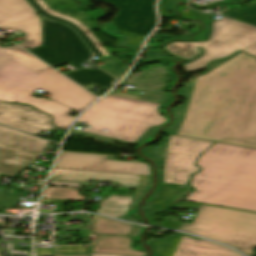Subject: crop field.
Instances as JSON below:
<instances>
[{"label": "crop field", "instance_id": "38", "mask_svg": "<svg viewBox=\"0 0 256 256\" xmlns=\"http://www.w3.org/2000/svg\"><path fill=\"white\" fill-rule=\"evenodd\" d=\"M4 195H5V194L0 193V204H1V202H2V199H3Z\"/></svg>", "mask_w": 256, "mask_h": 256}, {"label": "crop field", "instance_id": "36", "mask_svg": "<svg viewBox=\"0 0 256 256\" xmlns=\"http://www.w3.org/2000/svg\"><path fill=\"white\" fill-rule=\"evenodd\" d=\"M49 185L63 186V187H73V188H79V186H80V184H75V183H63V182H50Z\"/></svg>", "mask_w": 256, "mask_h": 256}, {"label": "crop field", "instance_id": "24", "mask_svg": "<svg viewBox=\"0 0 256 256\" xmlns=\"http://www.w3.org/2000/svg\"><path fill=\"white\" fill-rule=\"evenodd\" d=\"M65 74L84 88L89 84L94 83L107 90L111 86H113L111 83L115 80L114 77L110 76L109 74L103 72L100 69L81 70Z\"/></svg>", "mask_w": 256, "mask_h": 256}, {"label": "crop field", "instance_id": "2", "mask_svg": "<svg viewBox=\"0 0 256 256\" xmlns=\"http://www.w3.org/2000/svg\"><path fill=\"white\" fill-rule=\"evenodd\" d=\"M196 166L187 201L256 212V150L215 143Z\"/></svg>", "mask_w": 256, "mask_h": 256}, {"label": "crop field", "instance_id": "19", "mask_svg": "<svg viewBox=\"0 0 256 256\" xmlns=\"http://www.w3.org/2000/svg\"><path fill=\"white\" fill-rule=\"evenodd\" d=\"M131 240L132 237L99 235V243L94 245V253L123 256H144V252L136 251L131 248Z\"/></svg>", "mask_w": 256, "mask_h": 256}, {"label": "crop field", "instance_id": "6", "mask_svg": "<svg viewBox=\"0 0 256 256\" xmlns=\"http://www.w3.org/2000/svg\"><path fill=\"white\" fill-rule=\"evenodd\" d=\"M256 42V28L221 17L212 23L208 41L177 42L165 47L169 53L187 59L186 72L205 68L206 64L232 55Z\"/></svg>", "mask_w": 256, "mask_h": 256}, {"label": "crop field", "instance_id": "1", "mask_svg": "<svg viewBox=\"0 0 256 256\" xmlns=\"http://www.w3.org/2000/svg\"><path fill=\"white\" fill-rule=\"evenodd\" d=\"M177 135L256 149V58L242 52L199 77Z\"/></svg>", "mask_w": 256, "mask_h": 256}, {"label": "crop field", "instance_id": "23", "mask_svg": "<svg viewBox=\"0 0 256 256\" xmlns=\"http://www.w3.org/2000/svg\"><path fill=\"white\" fill-rule=\"evenodd\" d=\"M236 55H234V56H236ZM234 56H232L230 58H227L225 60H222V61L215 62V63L211 64V68L207 72L214 69L218 65L224 63L225 61L233 58ZM206 73H204V74H206ZM204 74H202V75H204ZM202 75H198V76H194V77L190 78L188 80L187 84L184 85L182 88H180L178 90L179 95L185 97L186 100L184 101L183 104H181L179 107H177L176 109L173 110V112L176 116V123L173 124L172 126H170L169 128H167L164 131L165 133L176 135L177 131L179 130V128L182 124V121H183V118H184V115H185V111H186V108H187V105H188V102H189V99H190V96H191V93H192V90H193L194 83H195L197 77L202 76Z\"/></svg>", "mask_w": 256, "mask_h": 256}, {"label": "crop field", "instance_id": "35", "mask_svg": "<svg viewBox=\"0 0 256 256\" xmlns=\"http://www.w3.org/2000/svg\"><path fill=\"white\" fill-rule=\"evenodd\" d=\"M172 1H174V0H161V2H160V12H161V16L163 18H165V17H173V15L171 13H167V12L164 11V6L167 3H170Z\"/></svg>", "mask_w": 256, "mask_h": 256}, {"label": "crop field", "instance_id": "16", "mask_svg": "<svg viewBox=\"0 0 256 256\" xmlns=\"http://www.w3.org/2000/svg\"><path fill=\"white\" fill-rule=\"evenodd\" d=\"M40 155L0 143V172L17 176Z\"/></svg>", "mask_w": 256, "mask_h": 256}, {"label": "crop field", "instance_id": "3", "mask_svg": "<svg viewBox=\"0 0 256 256\" xmlns=\"http://www.w3.org/2000/svg\"><path fill=\"white\" fill-rule=\"evenodd\" d=\"M56 72L48 67L36 75L13 60L0 70V100L28 103L53 115L54 124L66 130L74 119L66 115L70 109L46 98L32 97L33 91L40 88L52 95L49 99L79 112L96 97Z\"/></svg>", "mask_w": 256, "mask_h": 256}, {"label": "crop field", "instance_id": "7", "mask_svg": "<svg viewBox=\"0 0 256 256\" xmlns=\"http://www.w3.org/2000/svg\"><path fill=\"white\" fill-rule=\"evenodd\" d=\"M31 5L45 17L63 22L74 30L85 41L88 47L98 56L97 62H102L105 66L100 67L111 75L121 78L127 69L120 59L113 58L112 53L126 50V48L113 49L105 46L97 47L98 40L91 33L92 29H98L92 19L103 15L102 9L94 12H82L71 0H28ZM93 56V57H94Z\"/></svg>", "mask_w": 256, "mask_h": 256}, {"label": "crop field", "instance_id": "31", "mask_svg": "<svg viewBox=\"0 0 256 256\" xmlns=\"http://www.w3.org/2000/svg\"><path fill=\"white\" fill-rule=\"evenodd\" d=\"M119 31L122 35L128 37V43L134 48L133 53L137 54L144 37L121 30Z\"/></svg>", "mask_w": 256, "mask_h": 256}, {"label": "crop field", "instance_id": "14", "mask_svg": "<svg viewBox=\"0 0 256 256\" xmlns=\"http://www.w3.org/2000/svg\"><path fill=\"white\" fill-rule=\"evenodd\" d=\"M163 65L144 69L139 76L130 75L124 84L136 86L144 95L126 92L123 96L159 103L163 98V87L169 76L163 71Z\"/></svg>", "mask_w": 256, "mask_h": 256}, {"label": "crop field", "instance_id": "33", "mask_svg": "<svg viewBox=\"0 0 256 256\" xmlns=\"http://www.w3.org/2000/svg\"><path fill=\"white\" fill-rule=\"evenodd\" d=\"M19 201V196L6 194L1 207H16Z\"/></svg>", "mask_w": 256, "mask_h": 256}, {"label": "crop field", "instance_id": "20", "mask_svg": "<svg viewBox=\"0 0 256 256\" xmlns=\"http://www.w3.org/2000/svg\"><path fill=\"white\" fill-rule=\"evenodd\" d=\"M13 59L37 74L44 70L46 67H48L32 55L28 54L27 52L15 45L6 49L0 46V69H2Z\"/></svg>", "mask_w": 256, "mask_h": 256}, {"label": "crop field", "instance_id": "18", "mask_svg": "<svg viewBox=\"0 0 256 256\" xmlns=\"http://www.w3.org/2000/svg\"><path fill=\"white\" fill-rule=\"evenodd\" d=\"M0 142L42 155L49 141L0 126Z\"/></svg>", "mask_w": 256, "mask_h": 256}, {"label": "crop field", "instance_id": "17", "mask_svg": "<svg viewBox=\"0 0 256 256\" xmlns=\"http://www.w3.org/2000/svg\"><path fill=\"white\" fill-rule=\"evenodd\" d=\"M0 27H4L7 30H22L26 35L23 39L24 42L19 45L23 48L31 49L42 44L40 17L35 13L1 23Z\"/></svg>", "mask_w": 256, "mask_h": 256}, {"label": "crop field", "instance_id": "34", "mask_svg": "<svg viewBox=\"0 0 256 256\" xmlns=\"http://www.w3.org/2000/svg\"><path fill=\"white\" fill-rule=\"evenodd\" d=\"M37 256H91V255H52V249H35Z\"/></svg>", "mask_w": 256, "mask_h": 256}, {"label": "crop field", "instance_id": "39", "mask_svg": "<svg viewBox=\"0 0 256 256\" xmlns=\"http://www.w3.org/2000/svg\"><path fill=\"white\" fill-rule=\"evenodd\" d=\"M92 256H108V255H98V254H92Z\"/></svg>", "mask_w": 256, "mask_h": 256}, {"label": "crop field", "instance_id": "32", "mask_svg": "<svg viewBox=\"0 0 256 256\" xmlns=\"http://www.w3.org/2000/svg\"><path fill=\"white\" fill-rule=\"evenodd\" d=\"M164 71L171 77L170 80H169V81H171L170 84H166L165 86H166L167 88H168L169 86L172 87L173 84L176 82V76H175L172 72L168 71V70L166 69V67H165ZM167 82H168V81H167ZM171 87H170V88H171ZM164 88H165V87H164ZM168 91H170V89H169ZM171 102H173V96H170V95H168V94L165 93L164 98H163V100L161 101L160 104L168 105V104H170Z\"/></svg>", "mask_w": 256, "mask_h": 256}, {"label": "crop field", "instance_id": "25", "mask_svg": "<svg viewBox=\"0 0 256 256\" xmlns=\"http://www.w3.org/2000/svg\"><path fill=\"white\" fill-rule=\"evenodd\" d=\"M33 12L25 0H0V23Z\"/></svg>", "mask_w": 256, "mask_h": 256}, {"label": "crop field", "instance_id": "37", "mask_svg": "<svg viewBox=\"0 0 256 256\" xmlns=\"http://www.w3.org/2000/svg\"><path fill=\"white\" fill-rule=\"evenodd\" d=\"M245 52L256 56V44L254 46H252L251 48L247 49Z\"/></svg>", "mask_w": 256, "mask_h": 256}, {"label": "crop field", "instance_id": "26", "mask_svg": "<svg viewBox=\"0 0 256 256\" xmlns=\"http://www.w3.org/2000/svg\"><path fill=\"white\" fill-rule=\"evenodd\" d=\"M182 237V234H178L157 242L149 243V245H151L153 248V256H173Z\"/></svg>", "mask_w": 256, "mask_h": 256}, {"label": "crop field", "instance_id": "13", "mask_svg": "<svg viewBox=\"0 0 256 256\" xmlns=\"http://www.w3.org/2000/svg\"><path fill=\"white\" fill-rule=\"evenodd\" d=\"M51 119L31 106L0 102V123L6 126L35 135L57 128Z\"/></svg>", "mask_w": 256, "mask_h": 256}, {"label": "crop field", "instance_id": "30", "mask_svg": "<svg viewBox=\"0 0 256 256\" xmlns=\"http://www.w3.org/2000/svg\"><path fill=\"white\" fill-rule=\"evenodd\" d=\"M187 9L186 6L180 7L178 10L180 11L183 18H200V19H213L214 15L212 14H206L194 10H188L187 12H182L183 10Z\"/></svg>", "mask_w": 256, "mask_h": 256}, {"label": "crop field", "instance_id": "12", "mask_svg": "<svg viewBox=\"0 0 256 256\" xmlns=\"http://www.w3.org/2000/svg\"><path fill=\"white\" fill-rule=\"evenodd\" d=\"M107 157L61 152L55 168L150 175L148 164L108 161Z\"/></svg>", "mask_w": 256, "mask_h": 256}, {"label": "crop field", "instance_id": "5", "mask_svg": "<svg viewBox=\"0 0 256 256\" xmlns=\"http://www.w3.org/2000/svg\"><path fill=\"white\" fill-rule=\"evenodd\" d=\"M176 208L199 210L187 231L229 245L247 256L256 248V214L201 204H175Z\"/></svg>", "mask_w": 256, "mask_h": 256}, {"label": "crop field", "instance_id": "4", "mask_svg": "<svg viewBox=\"0 0 256 256\" xmlns=\"http://www.w3.org/2000/svg\"><path fill=\"white\" fill-rule=\"evenodd\" d=\"M160 109V104L108 95L77 120L87 123L92 129L71 131L94 139L141 145L151 140L161 125L169 122L160 114Z\"/></svg>", "mask_w": 256, "mask_h": 256}, {"label": "crop field", "instance_id": "10", "mask_svg": "<svg viewBox=\"0 0 256 256\" xmlns=\"http://www.w3.org/2000/svg\"><path fill=\"white\" fill-rule=\"evenodd\" d=\"M213 143L171 135L164 167V182L186 185L190 175L199 172L197 157Z\"/></svg>", "mask_w": 256, "mask_h": 256}, {"label": "crop field", "instance_id": "21", "mask_svg": "<svg viewBox=\"0 0 256 256\" xmlns=\"http://www.w3.org/2000/svg\"><path fill=\"white\" fill-rule=\"evenodd\" d=\"M91 217L94 221L93 233L124 236H140L142 233V227L94 215H91Z\"/></svg>", "mask_w": 256, "mask_h": 256}, {"label": "crop field", "instance_id": "28", "mask_svg": "<svg viewBox=\"0 0 256 256\" xmlns=\"http://www.w3.org/2000/svg\"><path fill=\"white\" fill-rule=\"evenodd\" d=\"M227 17L256 25V1L244 9H229L224 14Z\"/></svg>", "mask_w": 256, "mask_h": 256}, {"label": "crop field", "instance_id": "9", "mask_svg": "<svg viewBox=\"0 0 256 256\" xmlns=\"http://www.w3.org/2000/svg\"><path fill=\"white\" fill-rule=\"evenodd\" d=\"M54 178H57L56 180L73 182L110 180L113 182H120L121 186L134 187L138 190H147L150 181V176L63 169H53L50 179L54 180ZM138 190L134 193V196L104 192V194L110 195L101 205L102 210L95 212L111 217H118L125 214L127 211L134 209L136 205L135 200L143 194V192ZM116 195H124V197Z\"/></svg>", "mask_w": 256, "mask_h": 256}, {"label": "crop field", "instance_id": "15", "mask_svg": "<svg viewBox=\"0 0 256 256\" xmlns=\"http://www.w3.org/2000/svg\"><path fill=\"white\" fill-rule=\"evenodd\" d=\"M174 256H241L234 250L205 241L183 237Z\"/></svg>", "mask_w": 256, "mask_h": 256}, {"label": "crop field", "instance_id": "22", "mask_svg": "<svg viewBox=\"0 0 256 256\" xmlns=\"http://www.w3.org/2000/svg\"><path fill=\"white\" fill-rule=\"evenodd\" d=\"M187 190H189L188 186L164 183L156 200L147 210L146 215L166 210L173 203L172 201L183 196Z\"/></svg>", "mask_w": 256, "mask_h": 256}, {"label": "crop field", "instance_id": "29", "mask_svg": "<svg viewBox=\"0 0 256 256\" xmlns=\"http://www.w3.org/2000/svg\"><path fill=\"white\" fill-rule=\"evenodd\" d=\"M170 136V135H169ZM168 138L159 146V148L150 146L148 148L143 149V153L150 157L155 159L157 162H162L164 164L165 160V154H166V149H167V144H168Z\"/></svg>", "mask_w": 256, "mask_h": 256}, {"label": "crop field", "instance_id": "11", "mask_svg": "<svg viewBox=\"0 0 256 256\" xmlns=\"http://www.w3.org/2000/svg\"><path fill=\"white\" fill-rule=\"evenodd\" d=\"M118 7L119 13L110 22L117 29L146 37L156 24V0H100Z\"/></svg>", "mask_w": 256, "mask_h": 256}, {"label": "crop field", "instance_id": "27", "mask_svg": "<svg viewBox=\"0 0 256 256\" xmlns=\"http://www.w3.org/2000/svg\"><path fill=\"white\" fill-rule=\"evenodd\" d=\"M76 189H63L47 187L43 198L47 199H61V200H77L83 201L85 197L80 196Z\"/></svg>", "mask_w": 256, "mask_h": 256}, {"label": "crop field", "instance_id": "8", "mask_svg": "<svg viewBox=\"0 0 256 256\" xmlns=\"http://www.w3.org/2000/svg\"><path fill=\"white\" fill-rule=\"evenodd\" d=\"M41 30L43 45L29 52L50 66L71 62L80 69L79 63L91 57V52L68 26L41 17Z\"/></svg>", "mask_w": 256, "mask_h": 256}]
</instances>
